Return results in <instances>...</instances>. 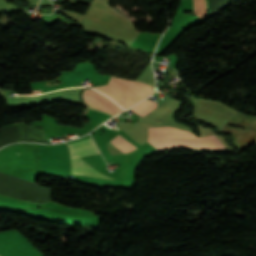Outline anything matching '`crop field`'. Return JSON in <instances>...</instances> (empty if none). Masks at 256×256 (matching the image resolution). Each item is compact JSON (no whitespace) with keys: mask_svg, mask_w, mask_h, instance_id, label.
Masks as SVG:
<instances>
[{"mask_svg":"<svg viewBox=\"0 0 256 256\" xmlns=\"http://www.w3.org/2000/svg\"><path fill=\"white\" fill-rule=\"evenodd\" d=\"M148 142L156 149L180 146L211 149L224 147L215 135L197 138L193 133L172 127L149 128Z\"/></svg>","mask_w":256,"mask_h":256,"instance_id":"obj_1","label":"crop field"},{"mask_svg":"<svg viewBox=\"0 0 256 256\" xmlns=\"http://www.w3.org/2000/svg\"><path fill=\"white\" fill-rule=\"evenodd\" d=\"M94 89L109 96L125 109L152 94L154 90L153 87L143 82L128 81L113 76L108 85L95 87Z\"/></svg>","mask_w":256,"mask_h":256,"instance_id":"obj_2","label":"crop field"},{"mask_svg":"<svg viewBox=\"0 0 256 256\" xmlns=\"http://www.w3.org/2000/svg\"><path fill=\"white\" fill-rule=\"evenodd\" d=\"M67 146L71 154L72 174L109 179V178H106L107 176L104 177L105 175L102 176L103 174L100 175L92 167L86 164L87 162L85 163L79 157V156L99 153L97 147L95 146L91 138L83 141L75 142L72 144H68Z\"/></svg>","mask_w":256,"mask_h":256,"instance_id":"obj_3","label":"crop field"},{"mask_svg":"<svg viewBox=\"0 0 256 256\" xmlns=\"http://www.w3.org/2000/svg\"><path fill=\"white\" fill-rule=\"evenodd\" d=\"M82 98L86 108L107 112L112 115L122 111L112 100L91 88L84 90Z\"/></svg>","mask_w":256,"mask_h":256,"instance_id":"obj_4","label":"crop field"},{"mask_svg":"<svg viewBox=\"0 0 256 256\" xmlns=\"http://www.w3.org/2000/svg\"><path fill=\"white\" fill-rule=\"evenodd\" d=\"M110 142L113 143L116 147H118L124 153L130 152L137 148L119 134L115 138H113Z\"/></svg>","mask_w":256,"mask_h":256,"instance_id":"obj_5","label":"crop field"},{"mask_svg":"<svg viewBox=\"0 0 256 256\" xmlns=\"http://www.w3.org/2000/svg\"><path fill=\"white\" fill-rule=\"evenodd\" d=\"M156 105H157V103L146 100L129 110L135 112L136 114H138L139 116L142 117L145 114L152 111L154 108H156Z\"/></svg>","mask_w":256,"mask_h":256,"instance_id":"obj_6","label":"crop field"}]
</instances>
